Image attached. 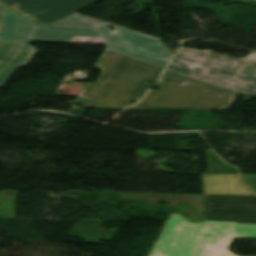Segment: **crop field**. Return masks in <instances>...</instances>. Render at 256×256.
I'll use <instances>...</instances> for the list:
<instances>
[{
	"label": "crop field",
	"instance_id": "1",
	"mask_svg": "<svg viewBox=\"0 0 256 256\" xmlns=\"http://www.w3.org/2000/svg\"><path fill=\"white\" fill-rule=\"evenodd\" d=\"M233 238H256V224L192 223L171 213L149 256H235L227 249Z\"/></svg>",
	"mask_w": 256,
	"mask_h": 256
},
{
	"label": "crop field",
	"instance_id": "2",
	"mask_svg": "<svg viewBox=\"0 0 256 256\" xmlns=\"http://www.w3.org/2000/svg\"><path fill=\"white\" fill-rule=\"evenodd\" d=\"M95 66L103 71L97 83H86L77 97L114 107H127L132 99L142 98L146 91L141 88L143 82H156L164 70L108 49Z\"/></svg>",
	"mask_w": 256,
	"mask_h": 256
},
{
	"label": "crop field",
	"instance_id": "3",
	"mask_svg": "<svg viewBox=\"0 0 256 256\" xmlns=\"http://www.w3.org/2000/svg\"><path fill=\"white\" fill-rule=\"evenodd\" d=\"M202 52L181 49L167 69L242 93L256 96V52L247 57L201 56Z\"/></svg>",
	"mask_w": 256,
	"mask_h": 256
},
{
	"label": "crop field",
	"instance_id": "4",
	"mask_svg": "<svg viewBox=\"0 0 256 256\" xmlns=\"http://www.w3.org/2000/svg\"><path fill=\"white\" fill-rule=\"evenodd\" d=\"M158 91L129 109L226 110L238 94L166 71Z\"/></svg>",
	"mask_w": 256,
	"mask_h": 256
},
{
	"label": "crop field",
	"instance_id": "5",
	"mask_svg": "<svg viewBox=\"0 0 256 256\" xmlns=\"http://www.w3.org/2000/svg\"><path fill=\"white\" fill-rule=\"evenodd\" d=\"M109 26L117 28L114 31ZM106 47L127 56L165 68L172 52L159 40L108 23L94 26Z\"/></svg>",
	"mask_w": 256,
	"mask_h": 256
},
{
	"label": "crop field",
	"instance_id": "6",
	"mask_svg": "<svg viewBox=\"0 0 256 256\" xmlns=\"http://www.w3.org/2000/svg\"><path fill=\"white\" fill-rule=\"evenodd\" d=\"M99 1L101 0H0V3L44 27Z\"/></svg>",
	"mask_w": 256,
	"mask_h": 256
},
{
	"label": "crop field",
	"instance_id": "7",
	"mask_svg": "<svg viewBox=\"0 0 256 256\" xmlns=\"http://www.w3.org/2000/svg\"><path fill=\"white\" fill-rule=\"evenodd\" d=\"M204 220L256 223V196L205 195Z\"/></svg>",
	"mask_w": 256,
	"mask_h": 256
},
{
	"label": "crop field",
	"instance_id": "8",
	"mask_svg": "<svg viewBox=\"0 0 256 256\" xmlns=\"http://www.w3.org/2000/svg\"><path fill=\"white\" fill-rule=\"evenodd\" d=\"M37 51L23 42L0 41V87L18 67L26 66Z\"/></svg>",
	"mask_w": 256,
	"mask_h": 256
},
{
	"label": "crop field",
	"instance_id": "9",
	"mask_svg": "<svg viewBox=\"0 0 256 256\" xmlns=\"http://www.w3.org/2000/svg\"><path fill=\"white\" fill-rule=\"evenodd\" d=\"M76 36L100 38L94 28L57 27L47 26L42 28L35 25L32 40L51 43H75Z\"/></svg>",
	"mask_w": 256,
	"mask_h": 256
},
{
	"label": "crop field",
	"instance_id": "10",
	"mask_svg": "<svg viewBox=\"0 0 256 256\" xmlns=\"http://www.w3.org/2000/svg\"><path fill=\"white\" fill-rule=\"evenodd\" d=\"M204 194L254 195L238 175H202Z\"/></svg>",
	"mask_w": 256,
	"mask_h": 256
},
{
	"label": "crop field",
	"instance_id": "11",
	"mask_svg": "<svg viewBox=\"0 0 256 256\" xmlns=\"http://www.w3.org/2000/svg\"><path fill=\"white\" fill-rule=\"evenodd\" d=\"M34 23L5 9L0 27V40L28 41Z\"/></svg>",
	"mask_w": 256,
	"mask_h": 256
},
{
	"label": "crop field",
	"instance_id": "12",
	"mask_svg": "<svg viewBox=\"0 0 256 256\" xmlns=\"http://www.w3.org/2000/svg\"><path fill=\"white\" fill-rule=\"evenodd\" d=\"M99 22H101V21L74 13V14L69 15L51 25L93 27L94 25L98 24Z\"/></svg>",
	"mask_w": 256,
	"mask_h": 256
},
{
	"label": "crop field",
	"instance_id": "13",
	"mask_svg": "<svg viewBox=\"0 0 256 256\" xmlns=\"http://www.w3.org/2000/svg\"><path fill=\"white\" fill-rule=\"evenodd\" d=\"M242 179L256 192V174H240Z\"/></svg>",
	"mask_w": 256,
	"mask_h": 256
},
{
	"label": "crop field",
	"instance_id": "14",
	"mask_svg": "<svg viewBox=\"0 0 256 256\" xmlns=\"http://www.w3.org/2000/svg\"><path fill=\"white\" fill-rule=\"evenodd\" d=\"M76 43L105 45L102 39L77 37Z\"/></svg>",
	"mask_w": 256,
	"mask_h": 256
},
{
	"label": "crop field",
	"instance_id": "15",
	"mask_svg": "<svg viewBox=\"0 0 256 256\" xmlns=\"http://www.w3.org/2000/svg\"><path fill=\"white\" fill-rule=\"evenodd\" d=\"M4 9H5V7L0 5V22H1V19H2V16H3Z\"/></svg>",
	"mask_w": 256,
	"mask_h": 256
},
{
	"label": "crop field",
	"instance_id": "16",
	"mask_svg": "<svg viewBox=\"0 0 256 256\" xmlns=\"http://www.w3.org/2000/svg\"><path fill=\"white\" fill-rule=\"evenodd\" d=\"M253 1H256V0H253Z\"/></svg>",
	"mask_w": 256,
	"mask_h": 256
}]
</instances>
